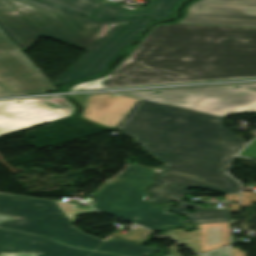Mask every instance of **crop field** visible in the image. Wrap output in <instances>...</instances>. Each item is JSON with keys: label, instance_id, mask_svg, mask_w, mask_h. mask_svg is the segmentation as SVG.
<instances>
[{"label": "crop field", "instance_id": "crop-field-1", "mask_svg": "<svg viewBox=\"0 0 256 256\" xmlns=\"http://www.w3.org/2000/svg\"><path fill=\"white\" fill-rule=\"evenodd\" d=\"M116 129L166 163L148 189L154 194L149 200L171 201L191 186L238 194V182L225 169L246 143L224 128L222 118L139 99Z\"/></svg>", "mask_w": 256, "mask_h": 256}, {"label": "crop field", "instance_id": "crop-field-2", "mask_svg": "<svg viewBox=\"0 0 256 256\" xmlns=\"http://www.w3.org/2000/svg\"><path fill=\"white\" fill-rule=\"evenodd\" d=\"M110 74L106 88L256 77V28L159 25Z\"/></svg>", "mask_w": 256, "mask_h": 256}, {"label": "crop field", "instance_id": "crop-field-3", "mask_svg": "<svg viewBox=\"0 0 256 256\" xmlns=\"http://www.w3.org/2000/svg\"><path fill=\"white\" fill-rule=\"evenodd\" d=\"M149 21H95L39 0H12L0 8V28L23 52L41 36L90 50L55 86L98 74Z\"/></svg>", "mask_w": 256, "mask_h": 256}, {"label": "crop field", "instance_id": "crop-field-4", "mask_svg": "<svg viewBox=\"0 0 256 256\" xmlns=\"http://www.w3.org/2000/svg\"><path fill=\"white\" fill-rule=\"evenodd\" d=\"M0 214L16 217L0 223V227L43 235L74 247L123 256H143L161 250L112 236L105 241L88 236L73 228L52 200L0 193Z\"/></svg>", "mask_w": 256, "mask_h": 256}, {"label": "crop field", "instance_id": "crop-field-5", "mask_svg": "<svg viewBox=\"0 0 256 256\" xmlns=\"http://www.w3.org/2000/svg\"><path fill=\"white\" fill-rule=\"evenodd\" d=\"M155 172L153 168L128 164L120 175L99 190V211L154 231L172 226L190 228L191 225L180 222L181 217L163 213L170 204L152 205L143 200L148 194L142 188L151 184V174Z\"/></svg>", "mask_w": 256, "mask_h": 256}, {"label": "crop field", "instance_id": "crop-field-6", "mask_svg": "<svg viewBox=\"0 0 256 256\" xmlns=\"http://www.w3.org/2000/svg\"><path fill=\"white\" fill-rule=\"evenodd\" d=\"M220 117L256 111V83L121 93Z\"/></svg>", "mask_w": 256, "mask_h": 256}, {"label": "crop field", "instance_id": "crop-field-7", "mask_svg": "<svg viewBox=\"0 0 256 256\" xmlns=\"http://www.w3.org/2000/svg\"><path fill=\"white\" fill-rule=\"evenodd\" d=\"M65 98L0 101V135L70 116Z\"/></svg>", "mask_w": 256, "mask_h": 256}, {"label": "crop field", "instance_id": "crop-field-8", "mask_svg": "<svg viewBox=\"0 0 256 256\" xmlns=\"http://www.w3.org/2000/svg\"><path fill=\"white\" fill-rule=\"evenodd\" d=\"M57 90L16 47L0 51V96Z\"/></svg>", "mask_w": 256, "mask_h": 256}, {"label": "crop field", "instance_id": "crop-field-9", "mask_svg": "<svg viewBox=\"0 0 256 256\" xmlns=\"http://www.w3.org/2000/svg\"><path fill=\"white\" fill-rule=\"evenodd\" d=\"M177 23L256 27V0H200Z\"/></svg>", "mask_w": 256, "mask_h": 256}, {"label": "crop field", "instance_id": "crop-field-10", "mask_svg": "<svg viewBox=\"0 0 256 256\" xmlns=\"http://www.w3.org/2000/svg\"><path fill=\"white\" fill-rule=\"evenodd\" d=\"M40 252L38 256H115L54 243L42 236L0 228V253Z\"/></svg>", "mask_w": 256, "mask_h": 256}, {"label": "crop field", "instance_id": "crop-field-11", "mask_svg": "<svg viewBox=\"0 0 256 256\" xmlns=\"http://www.w3.org/2000/svg\"><path fill=\"white\" fill-rule=\"evenodd\" d=\"M137 100L117 93L90 95L82 117L115 128Z\"/></svg>", "mask_w": 256, "mask_h": 256}, {"label": "crop field", "instance_id": "crop-field-12", "mask_svg": "<svg viewBox=\"0 0 256 256\" xmlns=\"http://www.w3.org/2000/svg\"><path fill=\"white\" fill-rule=\"evenodd\" d=\"M199 229L184 232L174 229L164 235L184 243L198 253L210 251L228 244L229 223L198 225Z\"/></svg>", "mask_w": 256, "mask_h": 256}, {"label": "crop field", "instance_id": "crop-field-13", "mask_svg": "<svg viewBox=\"0 0 256 256\" xmlns=\"http://www.w3.org/2000/svg\"><path fill=\"white\" fill-rule=\"evenodd\" d=\"M179 0H153L148 8L129 10L115 4H99L95 19L149 16L152 20L171 15V9ZM130 13H127V12ZM134 13V15H130Z\"/></svg>", "mask_w": 256, "mask_h": 256}, {"label": "crop field", "instance_id": "crop-field-14", "mask_svg": "<svg viewBox=\"0 0 256 256\" xmlns=\"http://www.w3.org/2000/svg\"><path fill=\"white\" fill-rule=\"evenodd\" d=\"M180 204L174 206L171 210L187 216L188 221L196 224L229 222L230 217L226 209L218 210L215 208H200L199 205L189 204L177 198ZM188 208L196 210L193 213H186Z\"/></svg>", "mask_w": 256, "mask_h": 256}, {"label": "crop field", "instance_id": "crop-field-15", "mask_svg": "<svg viewBox=\"0 0 256 256\" xmlns=\"http://www.w3.org/2000/svg\"><path fill=\"white\" fill-rule=\"evenodd\" d=\"M87 16L91 10L97 7L101 0H45Z\"/></svg>", "mask_w": 256, "mask_h": 256}, {"label": "crop field", "instance_id": "crop-field-16", "mask_svg": "<svg viewBox=\"0 0 256 256\" xmlns=\"http://www.w3.org/2000/svg\"><path fill=\"white\" fill-rule=\"evenodd\" d=\"M71 222L79 215L96 212L93 209H76L75 204L57 201Z\"/></svg>", "mask_w": 256, "mask_h": 256}, {"label": "crop field", "instance_id": "crop-field-17", "mask_svg": "<svg viewBox=\"0 0 256 256\" xmlns=\"http://www.w3.org/2000/svg\"><path fill=\"white\" fill-rule=\"evenodd\" d=\"M111 77H113V76L108 75L107 77H104L101 79L81 83L79 85L72 87L70 90L76 91V90H85V89H90V88H103L104 87L103 80L110 79Z\"/></svg>", "mask_w": 256, "mask_h": 256}, {"label": "crop field", "instance_id": "crop-field-18", "mask_svg": "<svg viewBox=\"0 0 256 256\" xmlns=\"http://www.w3.org/2000/svg\"><path fill=\"white\" fill-rule=\"evenodd\" d=\"M147 231H149V230H147L143 227H138L137 229L130 231L128 236H126V235L123 236V235L118 234V233H114L112 235L137 242L138 240L141 239V236L139 235V233L144 234Z\"/></svg>", "mask_w": 256, "mask_h": 256}, {"label": "crop field", "instance_id": "crop-field-19", "mask_svg": "<svg viewBox=\"0 0 256 256\" xmlns=\"http://www.w3.org/2000/svg\"><path fill=\"white\" fill-rule=\"evenodd\" d=\"M242 206H251L250 201L256 202V193L242 191Z\"/></svg>", "mask_w": 256, "mask_h": 256}, {"label": "crop field", "instance_id": "crop-field-20", "mask_svg": "<svg viewBox=\"0 0 256 256\" xmlns=\"http://www.w3.org/2000/svg\"><path fill=\"white\" fill-rule=\"evenodd\" d=\"M240 154L256 158V139Z\"/></svg>", "mask_w": 256, "mask_h": 256}, {"label": "crop field", "instance_id": "crop-field-21", "mask_svg": "<svg viewBox=\"0 0 256 256\" xmlns=\"http://www.w3.org/2000/svg\"><path fill=\"white\" fill-rule=\"evenodd\" d=\"M165 256H174V255L166 254ZM199 256H228V248H223V249L206 253L203 255H199Z\"/></svg>", "mask_w": 256, "mask_h": 256}, {"label": "crop field", "instance_id": "crop-field-22", "mask_svg": "<svg viewBox=\"0 0 256 256\" xmlns=\"http://www.w3.org/2000/svg\"><path fill=\"white\" fill-rule=\"evenodd\" d=\"M13 43L10 41V39L2 40L0 41V49L8 48V47H13Z\"/></svg>", "mask_w": 256, "mask_h": 256}, {"label": "crop field", "instance_id": "crop-field-23", "mask_svg": "<svg viewBox=\"0 0 256 256\" xmlns=\"http://www.w3.org/2000/svg\"><path fill=\"white\" fill-rule=\"evenodd\" d=\"M38 253L0 254V256H36Z\"/></svg>", "mask_w": 256, "mask_h": 256}, {"label": "crop field", "instance_id": "crop-field-24", "mask_svg": "<svg viewBox=\"0 0 256 256\" xmlns=\"http://www.w3.org/2000/svg\"><path fill=\"white\" fill-rule=\"evenodd\" d=\"M72 97L75 98L80 104L84 106L88 95L72 96Z\"/></svg>", "mask_w": 256, "mask_h": 256}, {"label": "crop field", "instance_id": "crop-field-25", "mask_svg": "<svg viewBox=\"0 0 256 256\" xmlns=\"http://www.w3.org/2000/svg\"><path fill=\"white\" fill-rule=\"evenodd\" d=\"M231 212H238V204L232 203Z\"/></svg>", "mask_w": 256, "mask_h": 256}, {"label": "crop field", "instance_id": "crop-field-26", "mask_svg": "<svg viewBox=\"0 0 256 256\" xmlns=\"http://www.w3.org/2000/svg\"><path fill=\"white\" fill-rule=\"evenodd\" d=\"M12 218L13 217H8V216L0 215V222L6 221V220H9V219H12Z\"/></svg>", "mask_w": 256, "mask_h": 256}, {"label": "crop field", "instance_id": "crop-field-27", "mask_svg": "<svg viewBox=\"0 0 256 256\" xmlns=\"http://www.w3.org/2000/svg\"><path fill=\"white\" fill-rule=\"evenodd\" d=\"M93 207H95L98 210V194L95 196V201H94Z\"/></svg>", "mask_w": 256, "mask_h": 256}, {"label": "crop field", "instance_id": "crop-field-28", "mask_svg": "<svg viewBox=\"0 0 256 256\" xmlns=\"http://www.w3.org/2000/svg\"><path fill=\"white\" fill-rule=\"evenodd\" d=\"M11 0H0V7H2L3 5H5L6 3H8Z\"/></svg>", "mask_w": 256, "mask_h": 256}, {"label": "crop field", "instance_id": "crop-field-29", "mask_svg": "<svg viewBox=\"0 0 256 256\" xmlns=\"http://www.w3.org/2000/svg\"><path fill=\"white\" fill-rule=\"evenodd\" d=\"M227 201H233L232 195L226 194Z\"/></svg>", "mask_w": 256, "mask_h": 256}, {"label": "crop field", "instance_id": "crop-field-30", "mask_svg": "<svg viewBox=\"0 0 256 256\" xmlns=\"http://www.w3.org/2000/svg\"><path fill=\"white\" fill-rule=\"evenodd\" d=\"M234 201H238V195H233Z\"/></svg>", "mask_w": 256, "mask_h": 256}, {"label": "crop field", "instance_id": "crop-field-31", "mask_svg": "<svg viewBox=\"0 0 256 256\" xmlns=\"http://www.w3.org/2000/svg\"><path fill=\"white\" fill-rule=\"evenodd\" d=\"M1 38H5V37H4L3 34L0 32V39H1Z\"/></svg>", "mask_w": 256, "mask_h": 256}, {"label": "crop field", "instance_id": "crop-field-32", "mask_svg": "<svg viewBox=\"0 0 256 256\" xmlns=\"http://www.w3.org/2000/svg\"><path fill=\"white\" fill-rule=\"evenodd\" d=\"M1 31V30H0ZM2 32V31H1ZM3 33V32H2ZM4 34V33H3ZM4 36H6L5 34H4ZM7 37V36H6ZM8 38V37H7ZM2 40V39H1Z\"/></svg>", "mask_w": 256, "mask_h": 256}]
</instances>
